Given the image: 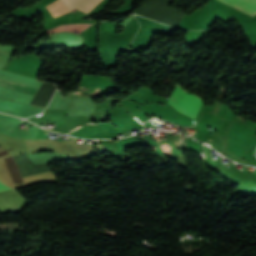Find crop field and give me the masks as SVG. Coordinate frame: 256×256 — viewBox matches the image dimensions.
I'll list each match as a JSON object with an SVG mask.
<instances>
[{
  "instance_id": "crop-field-1",
  "label": "crop field",
  "mask_w": 256,
  "mask_h": 256,
  "mask_svg": "<svg viewBox=\"0 0 256 256\" xmlns=\"http://www.w3.org/2000/svg\"><path fill=\"white\" fill-rule=\"evenodd\" d=\"M243 124L233 122L226 140L229 141L228 153L236 156H243L249 149L256 144L254 134L241 132Z\"/></svg>"
},
{
  "instance_id": "crop-field-2",
  "label": "crop field",
  "mask_w": 256,
  "mask_h": 256,
  "mask_svg": "<svg viewBox=\"0 0 256 256\" xmlns=\"http://www.w3.org/2000/svg\"><path fill=\"white\" fill-rule=\"evenodd\" d=\"M168 103H171L178 112L195 119L203 102L197 96L185 92L177 84Z\"/></svg>"
},
{
  "instance_id": "crop-field-3",
  "label": "crop field",
  "mask_w": 256,
  "mask_h": 256,
  "mask_svg": "<svg viewBox=\"0 0 256 256\" xmlns=\"http://www.w3.org/2000/svg\"><path fill=\"white\" fill-rule=\"evenodd\" d=\"M224 3L234 7L241 0H221ZM235 8L255 17L256 16V0H242Z\"/></svg>"
},
{
  "instance_id": "crop-field-4",
  "label": "crop field",
  "mask_w": 256,
  "mask_h": 256,
  "mask_svg": "<svg viewBox=\"0 0 256 256\" xmlns=\"http://www.w3.org/2000/svg\"><path fill=\"white\" fill-rule=\"evenodd\" d=\"M71 11L76 7L86 13H89L102 0H62Z\"/></svg>"
},
{
  "instance_id": "crop-field-5",
  "label": "crop field",
  "mask_w": 256,
  "mask_h": 256,
  "mask_svg": "<svg viewBox=\"0 0 256 256\" xmlns=\"http://www.w3.org/2000/svg\"><path fill=\"white\" fill-rule=\"evenodd\" d=\"M88 26L90 25H85V24L60 25L58 27L46 30V32H48V34L58 32V31H69L73 33H78L83 29L87 28Z\"/></svg>"
},
{
  "instance_id": "crop-field-6",
  "label": "crop field",
  "mask_w": 256,
  "mask_h": 256,
  "mask_svg": "<svg viewBox=\"0 0 256 256\" xmlns=\"http://www.w3.org/2000/svg\"><path fill=\"white\" fill-rule=\"evenodd\" d=\"M46 7L49 9L54 17L70 11L61 0H57Z\"/></svg>"
},
{
  "instance_id": "crop-field-7",
  "label": "crop field",
  "mask_w": 256,
  "mask_h": 256,
  "mask_svg": "<svg viewBox=\"0 0 256 256\" xmlns=\"http://www.w3.org/2000/svg\"><path fill=\"white\" fill-rule=\"evenodd\" d=\"M0 85H4V86H7V87H10V88H13V89H17V90H20V91H23V92H26V93H30V94H33V95L36 92V89H32V88L22 86V85H19V84H16V83H12V82H9V81H6V80H2V79H0Z\"/></svg>"
},
{
  "instance_id": "crop-field-8",
  "label": "crop field",
  "mask_w": 256,
  "mask_h": 256,
  "mask_svg": "<svg viewBox=\"0 0 256 256\" xmlns=\"http://www.w3.org/2000/svg\"><path fill=\"white\" fill-rule=\"evenodd\" d=\"M8 189H10V188H8V187H6V186H4V185H2V184L0 183V190H1V191L8 190Z\"/></svg>"
}]
</instances>
